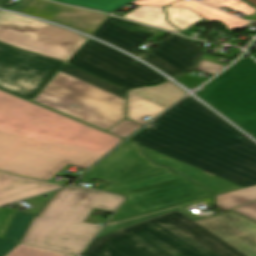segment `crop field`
<instances>
[{
    "label": "crop field",
    "instance_id": "ac0d7876",
    "mask_svg": "<svg viewBox=\"0 0 256 256\" xmlns=\"http://www.w3.org/2000/svg\"><path fill=\"white\" fill-rule=\"evenodd\" d=\"M132 140L244 187L256 184V144L191 96Z\"/></svg>",
    "mask_w": 256,
    "mask_h": 256
},
{
    "label": "crop field",
    "instance_id": "34b2d1b8",
    "mask_svg": "<svg viewBox=\"0 0 256 256\" xmlns=\"http://www.w3.org/2000/svg\"><path fill=\"white\" fill-rule=\"evenodd\" d=\"M82 256H256V223L234 212L194 222L176 210L94 239Z\"/></svg>",
    "mask_w": 256,
    "mask_h": 256
},
{
    "label": "crop field",
    "instance_id": "d9b57169",
    "mask_svg": "<svg viewBox=\"0 0 256 256\" xmlns=\"http://www.w3.org/2000/svg\"><path fill=\"white\" fill-rule=\"evenodd\" d=\"M171 6L188 7L207 20L220 21L222 23H225L228 30H236L240 28L242 25H244L245 23H247V21L245 20L232 17L228 14H225L223 12H220L216 9H213L211 7H208L206 5H203L193 0L191 1L181 0Z\"/></svg>",
    "mask_w": 256,
    "mask_h": 256
},
{
    "label": "crop field",
    "instance_id": "eef30255",
    "mask_svg": "<svg viewBox=\"0 0 256 256\" xmlns=\"http://www.w3.org/2000/svg\"><path fill=\"white\" fill-rule=\"evenodd\" d=\"M224 67L225 66H221V65H218V64H214V63H210V62L201 60L197 69H196V71H200V72H204V73L214 75L215 73H217L218 71H220Z\"/></svg>",
    "mask_w": 256,
    "mask_h": 256
},
{
    "label": "crop field",
    "instance_id": "214f88e0",
    "mask_svg": "<svg viewBox=\"0 0 256 256\" xmlns=\"http://www.w3.org/2000/svg\"><path fill=\"white\" fill-rule=\"evenodd\" d=\"M53 1L110 13L133 0H53Z\"/></svg>",
    "mask_w": 256,
    "mask_h": 256
},
{
    "label": "crop field",
    "instance_id": "e52e79f7",
    "mask_svg": "<svg viewBox=\"0 0 256 256\" xmlns=\"http://www.w3.org/2000/svg\"><path fill=\"white\" fill-rule=\"evenodd\" d=\"M69 63L109 80L123 89L66 63L65 71L86 82L123 98L126 89L161 83L167 79L127 55L102 43L88 39L68 60Z\"/></svg>",
    "mask_w": 256,
    "mask_h": 256
},
{
    "label": "crop field",
    "instance_id": "d8731c3e",
    "mask_svg": "<svg viewBox=\"0 0 256 256\" xmlns=\"http://www.w3.org/2000/svg\"><path fill=\"white\" fill-rule=\"evenodd\" d=\"M158 30L109 16L93 36L116 45L173 77L194 70L202 52L199 47L171 34L150 52L137 48Z\"/></svg>",
    "mask_w": 256,
    "mask_h": 256
},
{
    "label": "crop field",
    "instance_id": "f4fd0767",
    "mask_svg": "<svg viewBox=\"0 0 256 256\" xmlns=\"http://www.w3.org/2000/svg\"><path fill=\"white\" fill-rule=\"evenodd\" d=\"M117 195L70 187L35 217L22 243L77 255L102 226L83 222L94 207L115 211Z\"/></svg>",
    "mask_w": 256,
    "mask_h": 256
},
{
    "label": "crop field",
    "instance_id": "5a996713",
    "mask_svg": "<svg viewBox=\"0 0 256 256\" xmlns=\"http://www.w3.org/2000/svg\"><path fill=\"white\" fill-rule=\"evenodd\" d=\"M202 89L197 96L256 138V62L244 58Z\"/></svg>",
    "mask_w": 256,
    "mask_h": 256
},
{
    "label": "crop field",
    "instance_id": "22f410ed",
    "mask_svg": "<svg viewBox=\"0 0 256 256\" xmlns=\"http://www.w3.org/2000/svg\"><path fill=\"white\" fill-rule=\"evenodd\" d=\"M63 186L0 172V206Z\"/></svg>",
    "mask_w": 256,
    "mask_h": 256
},
{
    "label": "crop field",
    "instance_id": "ae1a2a85",
    "mask_svg": "<svg viewBox=\"0 0 256 256\" xmlns=\"http://www.w3.org/2000/svg\"><path fill=\"white\" fill-rule=\"evenodd\" d=\"M231 211L239 212L252 220L256 221V202L235 208Z\"/></svg>",
    "mask_w": 256,
    "mask_h": 256
},
{
    "label": "crop field",
    "instance_id": "dafd665d",
    "mask_svg": "<svg viewBox=\"0 0 256 256\" xmlns=\"http://www.w3.org/2000/svg\"><path fill=\"white\" fill-rule=\"evenodd\" d=\"M34 216L16 212L4 238L20 242Z\"/></svg>",
    "mask_w": 256,
    "mask_h": 256
},
{
    "label": "crop field",
    "instance_id": "bd1437ed",
    "mask_svg": "<svg viewBox=\"0 0 256 256\" xmlns=\"http://www.w3.org/2000/svg\"><path fill=\"white\" fill-rule=\"evenodd\" d=\"M198 1H200V0H198Z\"/></svg>",
    "mask_w": 256,
    "mask_h": 256
},
{
    "label": "crop field",
    "instance_id": "a9b5d70f",
    "mask_svg": "<svg viewBox=\"0 0 256 256\" xmlns=\"http://www.w3.org/2000/svg\"><path fill=\"white\" fill-rule=\"evenodd\" d=\"M201 2L216 8L227 6L235 11L245 13L248 16L256 12L242 0H202Z\"/></svg>",
    "mask_w": 256,
    "mask_h": 256
},
{
    "label": "crop field",
    "instance_id": "4177f3b9",
    "mask_svg": "<svg viewBox=\"0 0 256 256\" xmlns=\"http://www.w3.org/2000/svg\"><path fill=\"white\" fill-rule=\"evenodd\" d=\"M141 126L142 125H139L137 123H134V122H131V121L125 119L120 124L112 127L110 130H108V132L125 138V137L129 136L131 133H133L135 130L140 128Z\"/></svg>",
    "mask_w": 256,
    "mask_h": 256
},
{
    "label": "crop field",
    "instance_id": "730fd06b",
    "mask_svg": "<svg viewBox=\"0 0 256 256\" xmlns=\"http://www.w3.org/2000/svg\"><path fill=\"white\" fill-rule=\"evenodd\" d=\"M16 211L0 208V238H3Z\"/></svg>",
    "mask_w": 256,
    "mask_h": 256
},
{
    "label": "crop field",
    "instance_id": "28ad6ade",
    "mask_svg": "<svg viewBox=\"0 0 256 256\" xmlns=\"http://www.w3.org/2000/svg\"><path fill=\"white\" fill-rule=\"evenodd\" d=\"M64 64L0 43V89L32 101Z\"/></svg>",
    "mask_w": 256,
    "mask_h": 256
},
{
    "label": "crop field",
    "instance_id": "d3111659",
    "mask_svg": "<svg viewBox=\"0 0 256 256\" xmlns=\"http://www.w3.org/2000/svg\"><path fill=\"white\" fill-rule=\"evenodd\" d=\"M175 1H177V0H140V1H137V2L133 3V5L165 6V5L171 4Z\"/></svg>",
    "mask_w": 256,
    "mask_h": 256
},
{
    "label": "crop field",
    "instance_id": "412701ff",
    "mask_svg": "<svg viewBox=\"0 0 256 256\" xmlns=\"http://www.w3.org/2000/svg\"><path fill=\"white\" fill-rule=\"evenodd\" d=\"M171 172L148 160L138 144L127 141L81 179L112 184L105 191L128 196L110 222L213 195Z\"/></svg>",
    "mask_w": 256,
    "mask_h": 256
},
{
    "label": "crop field",
    "instance_id": "00972430",
    "mask_svg": "<svg viewBox=\"0 0 256 256\" xmlns=\"http://www.w3.org/2000/svg\"><path fill=\"white\" fill-rule=\"evenodd\" d=\"M5 256H74L20 244Z\"/></svg>",
    "mask_w": 256,
    "mask_h": 256
},
{
    "label": "crop field",
    "instance_id": "cbeb9de0",
    "mask_svg": "<svg viewBox=\"0 0 256 256\" xmlns=\"http://www.w3.org/2000/svg\"><path fill=\"white\" fill-rule=\"evenodd\" d=\"M141 147L148 156V158H150L154 162L173 167V171L189 176L193 181L212 190L216 195L227 191L243 188L242 186L236 185L229 181L223 180L211 174L200 171L196 168H193L189 165L181 163L163 154L150 150L146 147Z\"/></svg>",
    "mask_w": 256,
    "mask_h": 256
},
{
    "label": "crop field",
    "instance_id": "bc2a9ffb",
    "mask_svg": "<svg viewBox=\"0 0 256 256\" xmlns=\"http://www.w3.org/2000/svg\"><path fill=\"white\" fill-rule=\"evenodd\" d=\"M218 208L225 210L256 199V186L216 196Z\"/></svg>",
    "mask_w": 256,
    "mask_h": 256
},
{
    "label": "crop field",
    "instance_id": "733c2abd",
    "mask_svg": "<svg viewBox=\"0 0 256 256\" xmlns=\"http://www.w3.org/2000/svg\"><path fill=\"white\" fill-rule=\"evenodd\" d=\"M123 17L172 32L181 33V31H178L176 28L166 22L163 7L140 6Z\"/></svg>",
    "mask_w": 256,
    "mask_h": 256
},
{
    "label": "crop field",
    "instance_id": "8a807250",
    "mask_svg": "<svg viewBox=\"0 0 256 256\" xmlns=\"http://www.w3.org/2000/svg\"><path fill=\"white\" fill-rule=\"evenodd\" d=\"M122 139L0 90V170L48 181L87 169Z\"/></svg>",
    "mask_w": 256,
    "mask_h": 256
},
{
    "label": "crop field",
    "instance_id": "4a817a6b",
    "mask_svg": "<svg viewBox=\"0 0 256 256\" xmlns=\"http://www.w3.org/2000/svg\"><path fill=\"white\" fill-rule=\"evenodd\" d=\"M128 94V118L133 121L145 125L149 121L145 122L141 120L142 118L148 115L154 118L165 110V108L155 103H152L142 97H139L129 91Z\"/></svg>",
    "mask_w": 256,
    "mask_h": 256
},
{
    "label": "crop field",
    "instance_id": "dd49c442",
    "mask_svg": "<svg viewBox=\"0 0 256 256\" xmlns=\"http://www.w3.org/2000/svg\"><path fill=\"white\" fill-rule=\"evenodd\" d=\"M34 101L104 130L125 119V99L62 71Z\"/></svg>",
    "mask_w": 256,
    "mask_h": 256
},
{
    "label": "crop field",
    "instance_id": "92a150f3",
    "mask_svg": "<svg viewBox=\"0 0 256 256\" xmlns=\"http://www.w3.org/2000/svg\"><path fill=\"white\" fill-rule=\"evenodd\" d=\"M166 11L169 15V22L182 31L186 30L193 23L204 19L188 8L166 7Z\"/></svg>",
    "mask_w": 256,
    "mask_h": 256
},
{
    "label": "crop field",
    "instance_id": "750c4746",
    "mask_svg": "<svg viewBox=\"0 0 256 256\" xmlns=\"http://www.w3.org/2000/svg\"><path fill=\"white\" fill-rule=\"evenodd\" d=\"M17 242L0 239V256L6 254L12 247H14Z\"/></svg>",
    "mask_w": 256,
    "mask_h": 256
},
{
    "label": "crop field",
    "instance_id": "d1516ede",
    "mask_svg": "<svg viewBox=\"0 0 256 256\" xmlns=\"http://www.w3.org/2000/svg\"><path fill=\"white\" fill-rule=\"evenodd\" d=\"M22 13L38 16L92 35L108 15L61 6L44 0H31Z\"/></svg>",
    "mask_w": 256,
    "mask_h": 256
},
{
    "label": "crop field",
    "instance_id": "5142ce71",
    "mask_svg": "<svg viewBox=\"0 0 256 256\" xmlns=\"http://www.w3.org/2000/svg\"><path fill=\"white\" fill-rule=\"evenodd\" d=\"M129 91L139 96H142L152 102H155L165 108L169 107L171 104L187 94L170 81L163 83L159 86L144 87L132 89Z\"/></svg>",
    "mask_w": 256,
    "mask_h": 256
},
{
    "label": "crop field",
    "instance_id": "3316defc",
    "mask_svg": "<svg viewBox=\"0 0 256 256\" xmlns=\"http://www.w3.org/2000/svg\"><path fill=\"white\" fill-rule=\"evenodd\" d=\"M87 38L0 10V41L25 50L67 61Z\"/></svg>",
    "mask_w": 256,
    "mask_h": 256
}]
</instances>
